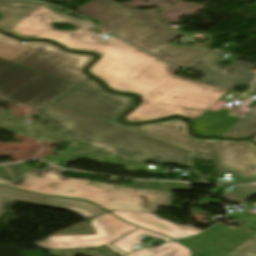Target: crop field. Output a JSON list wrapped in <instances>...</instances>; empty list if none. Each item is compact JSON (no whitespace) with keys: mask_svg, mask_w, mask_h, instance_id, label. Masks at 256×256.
<instances>
[{"mask_svg":"<svg viewBox=\"0 0 256 256\" xmlns=\"http://www.w3.org/2000/svg\"><path fill=\"white\" fill-rule=\"evenodd\" d=\"M0 29L24 38L52 39L74 50L99 53L89 72L111 90L140 94L142 103L126 121L181 115L196 119L228 90L173 76L177 67L111 34L107 40L86 39L88 23L75 20L45 3L0 0ZM65 23L77 31L51 29Z\"/></svg>","mask_w":256,"mask_h":256,"instance_id":"crop-field-1","label":"crop field"},{"mask_svg":"<svg viewBox=\"0 0 256 256\" xmlns=\"http://www.w3.org/2000/svg\"><path fill=\"white\" fill-rule=\"evenodd\" d=\"M38 114L71 138L82 139L124 159L186 166L190 153L183 149L85 115L51 102Z\"/></svg>","mask_w":256,"mask_h":256,"instance_id":"crop-field-2","label":"crop field"},{"mask_svg":"<svg viewBox=\"0 0 256 256\" xmlns=\"http://www.w3.org/2000/svg\"><path fill=\"white\" fill-rule=\"evenodd\" d=\"M65 171L48 165L43 170L29 171L8 186L45 195L82 198L109 211L121 209L153 212L158 211V206L171 205L170 192L132 189L64 178L61 175Z\"/></svg>","mask_w":256,"mask_h":256,"instance_id":"crop-field-3","label":"crop field"},{"mask_svg":"<svg viewBox=\"0 0 256 256\" xmlns=\"http://www.w3.org/2000/svg\"><path fill=\"white\" fill-rule=\"evenodd\" d=\"M78 10L102 22L99 26L180 66L189 65L211 52L198 47L166 44L182 33L156 22L155 9L139 11L123 7L113 0H96Z\"/></svg>","mask_w":256,"mask_h":256,"instance_id":"crop-field-4","label":"crop field"},{"mask_svg":"<svg viewBox=\"0 0 256 256\" xmlns=\"http://www.w3.org/2000/svg\"><path fill=\"white\" fill-rule=\"evenodd\" d=\"M140 131L193 150V157L213 161L237 184L256 182V146L250 141L198 140L188 135L181 120L139 125Z\"/></svg>","mask_w":256,"mask_h":256,"instance_id":"crop-field-5","label":"crop field"},{"mask_svg":"<svg viewBox=\"0 0 256 256\" xmlns=\"http://www.w3.org/2000/svg\"><path fill=\"white\" fill-rule=\"evenodd\" d=\"M73 86L56 78L0 60V98L32 110H40Z\"/></svg>","mask_w":256,"mask_h":256,"instance_id":"crop-field-6","label":"crop field"},{"mask_svg":"<svg viewBox=\"0 0 256 256\" xmlns=\"http://www.w3.org/2000/svg\"><path fill=\"white\" fill-rule=\"evenodd\" d=\"M133 97L110 94L88 78L56 102L119 124L118 116L132 106ZM139 132L138 125L124 126Z\"/></svg>","mask_w":256,"mask_h":256,"instance_id":"crop-field-7","label":"crop field"},{"mask_svg":"<svg viewBox=\"0 0 256 256\" xmlns=\"http://www.w3.org/2000/svg\"><path fill=\"white\" fill-rule=\"evenodd\" d=\"M92 58L70 54L47 43L17 64L78 84L87 78L81 70Z\"/></svg>","mask_w":256,"mask_h":256,"instance_id":"crop-field-8","label":"crop field"},{"mask_svg":"<svg viewBox=\"0 0 256 256\" xmlns=\"http://www.w3.org/2000/svg\"><path fill=\"white\" fill-rule=\"evenodd\" d=\"M91 221L92 227L96 230V235L50 236L46 241L35 244L43 249L84 248L105 245L116 253L123 255L122 252L109 243L138 228L125 223L109 213L94 218Z\"/></svg>","mask_w":256,"mask_h":256,"instance_id":"crop-field-9","label":"crop field"},{"mask_svg":"<svg viewBox=\"0 0 256 256\" xmlns=\"http://www.w3.org/2000/svg\"><path fill=\"white\" fill-rule=\"evenodd\" d=\"M252 234L254 233L242 225L239 230H231L218 224L196 237L178 241L206 256H224Z\"/></svg>","mask_w":256,"mask_h":256,"instance_id":"crop-field-10","label":"crop field"},{"mask_svg":"<svg viewBox=\"0 0 256 256\" xmlns=\"http://www.w3.org/2000/svg\"><path fill=\"white\" fill-rule=\"evenodd\" d=\"M12 202H24L63 208L73 211L84 218L97 217L107 213V211L101 207L86 201L36 195L0 186V216L6 212L3 210V207Z\"/></svg>","mask_w":256,"mask_h":256,"instance_id":"crop-field-11","label":"crop field"},{"mask_svg":"<svg viewBox=\"0 0 256 256\" xmlns=\"http://www.w3.org/2000/svg\"><path fill=\"white\" fill-rule=\"evenodd\" d=\"M225 56L224 53L214 52L209 56L205 57L201 61L189 66L192 68L199 69L203 72H207L205 79L201 82L224 87L231 89L238 83H242L244 80L251 85L256 74L248 72L254 65L235 62L228 67H223L217 63L215 60Z\"/></svg>","mask_w":256,"mask_h":256,"instance_id":"crop-field-12","label":"crop field"},{"mask_svg":"<svg viewBox=\"0 0 256 256\" xmlns=\"http://www.w3.org/2000/svg\"><path fill=\"white\" fill-rule=\"evenodd\" d=\"M111 212L125 221L134 223L142 228L160 232L173 239L189 236L187 226H181L167 220L159 219L149 213L120 210H113Z\"/></svg>","mask_w":256,"mask_h":256,"instance_id":"crop-field-13","label":"crop field"},{"mask_svg":"<svg viewBox=\"0 0 256 256\" xmlns=\"http://www.w3.org/2000/svg\"><path fill=\"white\" fill-rule=\"evenodd\" d=\"M12 39L0 34V57L16 63L28 54L32 53L46 42H27Z\"/></svg>","mask_w":256,"mask_h":256,"instance_id":"crop-field-14","label":"crop field"},{"mask_svg":"<svg viewBox=\"0 0 256 256\" xmlns=\"http://www.w3.org/2000/svg\"><path fill=\"white\" fill-rule=\"evenodd\" d=\"M127 256H190V250L177 242L134 251Z\"/></svg>","mask_w":256,"mask_h":256,"instance_id":"crop-field-15","label":"crop field"},{"mask_svg":"<svg viewBox=\"0 0 256 256\" xmlns=\"http://www.w3.org/2000/svg\"><path fill=\"white\" fill-rule=\"evenodd\" d=\"M251 92L256 93V83ZM256 132V106L237 122L224 136L245 137Z\"/></svg>","mask_w":256,"mask_h":256,"instance_id":"crop-field-16","label":"crop field"},{"mask_svg":"<svg viewBox=\"0 0 256 256\" xmlns=\"http://www.w3.org/2000/svg\"><path fill=\"white\" fill-rule=\"evenodd\" d=\"M143 234L151 236L153 238H158L163 241L171 240V239H169L165 236H162L158 233L139 228L136 231H134L133 233L129 234L128 236H126V237L124 236L125 238L122 237L123 239L113 243L112 245L127 253V252L135 249L134 247H132L133 245L141 244L140 237Z\"/></svg>","mask_w":256,"mask_h":256,"instance_id":"crop-field-17","label":"crop field"},{"mask_svg":"<svg viewBox=\"0 0 256 256\" xmlns=\"http://www.w3.org/2000/svg\"><path fill=\"white\" fill-rule=\"evenodd\" d=\"M236 192H229L222 197L232 203H241L246 199L252 192L256 190V185L251 186H238Z\"/></svg>","mask_w":256,"mask_h":256,"instance_id":"crop-field-18","label":"crop field"},{"mask_svg":"<svg viewBox=\"0 0 256 256\" xmlns=\"http://www.w3.org/2000/svg\"><path fill=\"white\" fill-rule=\"evenodd\" d=\"M256 246V235L248 239L242 245L237 247L235 250L230 252L226 256H256V253L253 255H247L249 251H251Z\"/></svg>","mask_w":256,"mask_h":256,"instance_id":"crop-field-19","label":"crop field"},{"mask_svg":"<svg viewBox=\"0 0 256 256\" xmlns=\"http://www.w3.org/2000/svg\"><path fill=\"white\" fill-rule=\"evenodd\" d=\"M188 228H189L190 235H194V234L201 232V230H199L197 228H193V227H189V226H188Z\"/></svg>","mask_w":256,"mask_h":256,"instance_id":"crop-field-20","label":"crop field"},{"mask_svg":"<svg viewBox=\"0 0 256 256\" xmlns=\"http://www.w3.org/2000/svg\"><path fill=\"white\" fill-rule=\"evenodd\" d=\"M8 182H9V180L0 178V184L5 185V184L8 183ZM6 185H7V184H6Z\"/></svg>","mask_w":256,"mask_h":256,"instance_id":"crop-field-21","label":"crop field"},{"mask_svg":"<svg viewBox=\"0 0 256 256\" xmlns=\"http://www.w3.org/2000/svg\"><path fill=\"white\" fill-rule=\"evenodd\" d=\"M191 256H201V255H199V254L194 253V252L191 251Z\"/></svg>","mask_w":256,"mask_h":256,"instance_id":"crop-field-22","label":"crop field"},{"mask_svg":"<svg viewBox=\"0 0 256 256\" xmlns=\"http://www.w3.org/2000/svg\"><path fill=\"white\" fill-rule=\"evenodd\" d=\"M256 247L251 251V252H249L248 254H253V253H255L256 251Z\"/></svg>","mask_w":256,"mask_h":256,"instance_id":"crop-field-23","label":"crop field"},{"mask_svg":"<svg viewBox=\"0 0 256 256\" xmlns=\"http://www.w3.org/2000/svg\"><path fill=\"white\" fill-rule=\"evenodd\" d=\"M252 141H254L256 143V137H254L253 139H251Z\"/></svg>","mask_w":256,"mask_h":256,"instance_id":"crop-field-24","label":"crop field"},{"mask_svg":"<svg viewBox=\"0 0 256 256\" xmlns=\"http://www.w3.org/2000/svg\"><path fill=\"white\" fill-rule=\"evenodd\" d=\"M253 5H256V3H254Z\"/></svg>","mask_w":256,"mask_h":256,"instance_id":"crop-field-25","label":"crop field"}]
</instances>
